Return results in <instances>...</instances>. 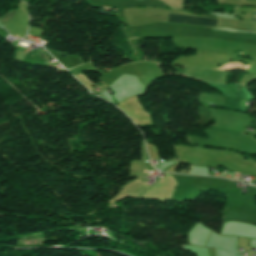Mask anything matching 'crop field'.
<instances>
[{
  "label": "crop field",
  "instance_id": "obj_1",
  "mask_svg": "<svg viewBox=\"0 0 256 256\" xmlns=\"http://www.w3.org/2000/svg\"><path fill=\"white\" fill-rule=\"evenodd\" d=\"M168 22L215 27L216 19L169 14Z\"/></svg>",
  "mask_w": 256,
  "mask_h": 256
},
{
  "label": "crop field",
  "instance_id": "obj_2",
  "mask_svg": "<svg viewBox=\"0 0 256 256\" xmlns=\"http://www.w3.org/2000/svg\"><path fill=\"white\" fill-rule=\"evenodd\" d=\"M16 10H17V9H15V10L9 12V13L6 14L4 17L0 18L1 23L3 24L4 22L10 20V19L13 17V15L16 13ZM1 23H0V24H1ZM2 24H1V25H2Z\"/></svg>",
  "mask_w": 256,
  "mask_h": 256
},
{
  "label": "crop field",
  "instance_id": "obj_3",
  "mask_svg": "<svg viewBox=\"0 0 256 256\" xmlns=\"http://www.w3.org/2000/svg\"><path fill=\"white\" fill-rule=\"evenodd\" d=\"M253 14H256V11H253ZM252 20H253V21H256V18H253Z\"/></svg>",
  "mask_w": 256,
  "mask_h": 256
},
{
  "label": "crop field",
  "instance_id": "obj_4",
  "mask_svg": "<svg viewBox=\"0 0 256 256\" xmlns=\"http://www.w3.org/2000/svg\"><path fill=\"white\" fill-rule=\"evenodd\" d=\"M13 36H15V35H13ZM16 37V36H15Z\"/></svg>",
  "mask_w": 256,
  "mask_h": 256
}]
</instances>
